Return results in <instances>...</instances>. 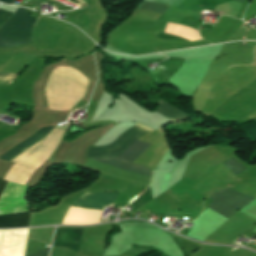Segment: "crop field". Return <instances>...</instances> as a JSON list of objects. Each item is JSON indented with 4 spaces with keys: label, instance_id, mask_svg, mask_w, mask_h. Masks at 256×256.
<instances>
[{
    "label": "crop field",
    "instance_id": "8a807250",
    "mask_svg": "<svg viewBox=\"0 0 256 256\" xmlns=\"http://www.w3.org/2000/svg\"><path fill=\"white\" fill-rule=\"evenodd\" d=\"M30 10L18 11L0 29V47H15L31 43V31L36 21L29 17Z\"/></svg>",
    "mask_w": 256,
    "mask_h": 256
},
{
    "label": "crop field",
    "instance_id": "ac0d7876",
    "mask_svg": "<svg viewBox=\"0 0 256 256\" xmlns=\"http://www.w3.org/2000/svg\"><path fill=\"white\" fill-rule=\"evenodd\" d=\"M145 126V125H144ZM141 124H136L124 131L113 142L105 146H89L87 158L111 157L122 153L138 137L152 131Z\"/></svg>",
    "mask_w": 256,
    "mask_h": 256
},
{
    "label": "crop field",
    "instance_id": "34b2d1b8",
    "mask_svg": "<svg viewBox=\"0 0 256 256\" xmlns=\"http://www.w3.org/2000/svg\"><path fill=\"white\" fill-rule=\"evenodd\" d=\"M151 144L136 140L131 146H129L122 154L106 158V159H94L99 162L118 167L134 173L146 175L151 177V171L141 165L132 163L136 160Z\"/></svg>",
    "mask_w": 256,
    "mask_h": 256
},
{
    "label": "crop field",
    "instance_id": "412701ff",
    "mask_svg": "<svg viewBox=\"0 0 256 256\" xmlns=\"http://www.w3.org/2000/svg\"><path fill=\"white\" fill-rule=\"evenodd\" d=\"M227 191H229V189H225V190L219 191V192H214L209 196V198L214 200ZM252 200H253L252 198L246 197L244 195L238 194V193L230 190L226 194L222 195L218 199L211 202L208 209H210L228 219L239 208L246 205L247 203H249Z\"/></svg>",
    "mask_w": 256,
    "mask_h": 256
},
{
    "label": "crop field",
    "instance_id": "f4fd0767",
    "mask_svg": "<svg viewBox=\"0 0 256 256\" xmlns=\"http://www.w3.org/2000/svg\"><path fill=\"white\" fill-rule=\"evenodd\" d=\"M82 229L57 227L53 246L65 247L78 251Z\"/></svg>",
    "mask_w": 256,
    "mask_h": 256
},
{
    "label": "crop field",
    "instance_id": "dd49c442",
    "mask_svg": "<svg viewBox=\"0 0 256 256\" xmlns=\"http://www.w3.org/2000/svg\"><path fill=\"white\" fill-rule=\"evenodd\" d=\"M118 193H90L85 192L79 196L73 204L86 206V207H96L103 208L107 205L113 204Z\"/></svg>",
    "mask_w": 256,
    "mask_h": 256
},
{
    "label": "crop field",
    "instance_id": "e52e79f7",
    "mask_svg": "<svg viewBox=\"0 0 256 256\" xmlns=\"http://www.w3.org/2000/svg\"><path fill=\"white\" fill-rule=\"evenodd\" d=\"M7 181L0 179V196ZM1 198V197H0ZM30 211L0 216V228H16L28 226Z\"/></svg>",
    "mask_w": 256,
    "mask_h": 256
},
{
    "label": "crop field",
    "instance_id": "d8731c3e",
    "mask_svg": "<svg viewBox=\"0 0 256 256\" xmlns=\"http://www.w3.org/2000/svg\"><path fill=\"white\" fill-rule=\"evenodd\" d=\"M52 129L53 127L51 126L42 128L32 137L28 138L24 142L9 150L2 157H0V159L9 161L13 160L15 157H17L19 154H21L23 151H25L27 148H29L31 145H33L35 142H37L39 139H41L43 136L49 133Z\"/></svg>",
    "mask_w": 256,
    "mask_h": 256
},
{
    "label": "crop field",
    "instance_id": "5a996713",
    "mask_svg": "<svg viewBox=\"0 0 256 256\" xmlns=\"http://www.w3.org/2000/svg\"><path fill=\"white\" fill-rule=\"evenodd\" d=\"M155 111L162 114L163 116L167 117L168 119H170L173 122L189 118L187 115H185L181 111L177 110L170 104L164 103L162 101H160L158 103Z\"/></svg>",
    "mask_w": 256,
    "mask_h": 256
},
{
    "label": "crop field",
    "instance_id": "3316defc",
    "mask_svg": "<svg viewBox=\"0 0 256 256\" xmlns=\"http://www.w3.org/2000/svg\"><path fill=\"white\" fill-rule=\"evenodd\" d=\"M168 8L169 6L161 5L154 2H148V1H144L142 5L139 7V9L152 11L160 14H163Z\"/></svg>",
    "mask_w": 256,
    "mask_h": 256
},
{
    "label": "crop field",
    "instance_id": "28ad6ade",
    "mask_svg": "<svg viewBox=\"0 0 256 256\" xmlns=\"http://www.w3.org/2000/svg\"><path fill=\"white\" fill-rule=\"evenodd\" d=\"M151 199H153L152 192L150 187L137 199L135 200L130 206H132L134 209H139L141 206L149 202Z\"/></svg>",
    "mask_w": 256,
    "mask_h": 256
},
{
    "label": "crop field",
    "instance_id": "d1516ede",
    "mask_svg": "<svg viewBox=\"0 0 256 256\" xmlns=\"http://www.w3.org/2000/svg\"><path fill=\"white\" fill-rule=\"evenodd\" d=\"M224 164L226 167H228L230 170H232L234 173H236L237 175L239 173H241L243 170H245L246 168H244L242 165H240L238 162H236L234 159L230 158L227 161H225Z\"/></svg>",
    "mask_w": 256,
    "mask_h": 256
},
{
    "label": "crop field",
    "instance_id": "22f410ed",
    "mask_svg": "<svg viewBox=\"0 0 256 256\" xmlns=\"http://www.w3.org/2000/svg\"><path fill=\"white\" fill-rule=\"evenodd\" d=\"M17 76L0 75V84H10Z\"/></svg>",
    "mask_w": 256,
    "mask_h": 256
},
{
    "label": "crop field",
    "instance_id": "cbeb9de0",
    "mask_svg": "<svg viewBox=\"0 0 256 256\" xmlns=\"http://www.w3.org/2000/svg\"><path fill=\"white\" fill-rule=\"evenodd\" d=\"M12 15V13L0 9V26Z\"/></svg>",
    "mask_w": 256,
    "mask_h": 256
},
{
    "label": "crop field",
    "instance_id": "5142ce71",
    "mask_svg": "<svg viewBox=\"0 0 256 256\" xmlns=\"http://www.w3.org/2000/svg\"><path fill=\"white\" fill-rule=\"evenodd\" d=\"M49 250H50V247H48V248H46L44 250H41L39 252H36V253H34L32 255H29V256H48Z\"/></svg>",
    "mask_w": 256,
    "mask_h": 256
},
{
    "label": "crop field",
    "instance_id": "d9b57169",
    "mask_svg": "<svg viewBox=\"0 0 256 256\" xmlns=\"http://www.w3.org/2000/svg\"><path fill=\"white\" fill-rule=\"evenodd\" d=\"M0 2L12 4L13 0H0Z\"/></svg>",
    "mask_w": 256,
    "mask_h": 256
},
{
    "label": "crop field",
    "instance_id": "733c2abd",
    "mask_svg": "<svg viewBox=\"0 0 256 256\" xmlns=\"http://www.w3.org/2000/svg\"><path fill=\"white\" fill-rule=\"evenodd\" d=\"M235 1H238V2H240V3L242 2V0H235Z\"/></svg>",
    "mask_w": 256,
    "mask_h": 256
},
{
    "label": "crop field",
    "instance_id": "4a817a6b",
    "mask_svg": "<svg viewBox=\"0 0 256 256\" xmlns=\"http://www.w3.org/2000/svg\"><path fill=\"white\" fill-rule=\"evenodd\" d=\"M77 208H79V207H77Z\"/></svg>",
    "mask_w": 256,
    "mask_h": 256
}]
</instances>
